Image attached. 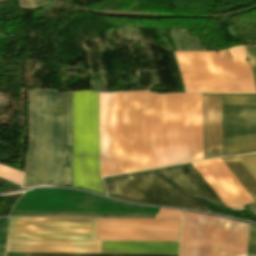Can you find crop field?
<instances>
[{"label": "crop field", "mask_w": 256, "mask_h": 256, "mask_svg": "<svg viewBox=\"0 0 256 256\" xmlns=\"http://www.w3.org/2000/svg\"><path fill=\"white\" fill-rule=\"evenodd\" d=\"M74 187L103 192L99 93H72ZM101 177L121 173L120 92L100 93Z\"/></svg>", "instance_id": "crop-field-1"}, {"label": "crop field", "mask_w": 256, "mask_h": 256, "mask_svg": "<svg viewBox=\"0 0 256 256\" xmlns=\"http://www.w3.org/2000/svg\"><path fill=\"white\" fill-rule=\"evenodd\" d=\"M29 122L23 186H73L71 93L29 91Z\"/></svg>", "instance_id": "crop-field-2"}, {"label": "crop field", "mask_w": 256, "mask_h": 256, "mask_svg": "<svg viewBox=\"0 0 256 256\" xmlns=\"http://www.w3.org/2000/svg\"><path fill=\"white\" fill-rule=\"evenodd\" d=\"M179 220L10 218L8 239L177 241ZM118 239V240H98ZM181 220L179 225L180 238ZM140 241V242H158Z\"/></svg>", "instance_id": "crop-field-3"}, {"label": "crop field", "mask_w": 256, "mask_h": 256, "mask_svg": "<svg viewBox=\"0 0 256 256\" xmlns=\"http://www.w3.org/2000/svg\"><path fill=\"white\" fill-rule=\"evenodd\" d=\"M109 195L126 200L206 210L198 196L224 206L192 163L107 177Z\"/></svg>", "instance_id": "crop-field-4"}, {"label": "crop field", "mask_w": 256, "mask_h": 256, "mask_svg": "<svg viewBox=\"0 0 256 256\" xmlns=\"http://www.w3.org/2000/svg\"><path fill=\"white\" fill-rule=\"evenodd\" d=\"M122 173L164 166L163 95L121 92Z\"/></svg>", "instance_id": "crop-field-5"}, {"label": "crop field", "mask_w": 256, "mask_h": 256, "mask_svg": "<svg viewBox=\"0 0 256 256\" xmlns=\"http://www.w3.org/2000/svg\"><path fill=\"white\" fill-rule=\"evenodd\" d=\"M165 166L202 159L201 94L164 95Z\"/></svg>", "instance_id": "crop-field-6"}, {"label": "crop field", "mask_w": 256, "mask_h": 256, "mask_svg": "<svg viewBox=\"0 0 256 256\" xmlns=\"http://www.w3.org/2000/svg\"><path fill=\"white\" fill-rule=\"evenodd\" d=\"M101 242L8 240L7 252L100 253ZM179 243L102 242L101 253L178 254ZM29 256H178L139 254H54Z\"/></svg>", "instance_id": "crop-field-7"}, {"label": "crop field", "mask_w": 256, "mask_h": 256, "mask_svg": "<svg viewBox=\"0 0 256 256\" xmlns=\"http://www.w3.org/2000/svg\"><path fill=\"white\" fill-rule=\"evenodd\" d=\"M256 151V95L222 94V156Z\"/></svg>", "instance_id": "crop-field-8"}, {"label": "crop field", "mask_w": 256, "mask_h": 256, "mask_svg": "<svg viewBox=\"0 0 256 256\" xmlns=\"http://www.w3.org/2000/svg\"><path fill=\"white\" fill-rule=\"evenodd\" d=\"M187 92H227L215 52H176Z\"/></svg>", "instance_id": "crop-field-9"}, {"label": "crop field", "mask_w": 256, "mask_h": 256, "mask_svg": "<svg viewBox=\"0 0 256 256\" xmlns=\"http://www.w3.org/2000/svg\"><path fill=\"white\" fill-rule=\"evenodd\" d=\"M222 162L216 159L193 164L226 207L244 209L242 205L253 200Z\"/></svg>", "instance_id": "crop-field-10"}, {"label": "crop field", "mask_w": 256, "mask_h": 256, "mask_svg": "<svg viewBox=\"0 0 256 256\" xmlns=\"http://www.w3.org/2000/svg\"><path fill=\"white\" fill-rule=\"evenodd\" d=\"M237 47V46H236ZM249 64L251 66L254 83L256 87V46H244ZM244 47L229 49L231 61L228 53L224 50L227 57L232 79L235 86V93H256L250 67L247 63ZM221 52V51H220ZM223 52L219 53V61L228 87V91H235L228 68L227 60Z\"/></svg>", "instance_id": "crop-field-11"}, {"label": "crop field", "mask_w": 256, "mask_h": 256, "mask_svg": "<svg viewBox=\"0 0 256 256\" xmlns=\"http://www.w3.org/2000/svg\"><path fill=\"white\" fill-rule=\"evenodd\" d=\"M213 217L186 212L180 256H209Z\"/></svg>", "instance_id": "crop-field-12"}, {"label": "crop field", "mask_w": 256, "mask_h": 256, "mask_svg": "<svg viewBox=\"0 0 256 256\" xmlns=\"http://www.w3.org/2000/svg\"><path fill=\"white\" fill-rule=\"evenodd\" d=\"M203 159L221 156V94H202Z\"/></svg>", "instance_id": "crop-field-13"}, {"label": "crop field", "mask_w": 256, "mask_h": 256, "mask_svg": "<svg viewBox=\"0 0 256 256\" xmlns=\"http://www.w3.org/2000/svg\"><path fill=\"white\" fill-rule=\"evenodd\" d=\"M221 160L256 202V182L237 157L232 156Z\"/></svg>", "instance_id": "crop-field-14"}, {"label": "crop field", "mask_w": 256, "mask_h": 256, "mask_svg": "<svg viewBox=\"0 0 256 256\" xmlns=\"http://www.w3.org/2000/svg\"><path fill=\"white\" fill-rule=\"evenodd\" d=\"M0 177L21 186L23 174L18 170L0 165Z\"/></svg>", "instance_id": "crop-field-15"}, {"label": "crop field", "mask_w": 256, "mask_h": 256, "mask_svg": "<svg viewBox=\"0 0 256 256\" xmlns=\"http://www.w3.org/2000/svg\"><path fill=\"white\" fill-rule=\"evenodd\" d=\"M237 157L256 180V153L239 155Z\"/></svg>", "instance_id": "crop-field-16"}, {"label": "crop field", "mask_w": 256, "mask_h": 256, "mask_svg": "<svg viewBox=\"0 0 256 256\" xmlns=\"http://www.w3.org/2000/svg\"><path fill=\"white\" fill-rule=\"evenodd\" d=\"M8 228V217L0 219V256H4L6 236Z\"/></svg>", "instance_id": "crop-field-17"}, {"label": "crop field", "mask_w": 256, "mask_h": 256, "mask_svg": "<svg viewBox=\"0 0 256 256\" xmlns=\"http://www.w3.org/2000/svg\"><path fill=\"white\" fill-rule=\"evenodd\" d=\"M247 256H256V227L250 224Z\"/></svg>", "instance_id": "crop-field-18"}, {"label": "crop field", "mask_w": 256, "mask_h": 256, "mask_svg": "<svg viewBox=\"0 0 256 256\" xmlns=\"http://www.w3.org/2000/svg\"><path fill=\"white\" fill-rule=\"evenodd\" d=\"M181 211L160 209L155 218L181 219Z\"/></svg>", "instance_id": "crop-field-19"}, {"label": "crop field", "mask_w": 256, "mask_h": 256, "mask_svg": "<svg viewBox=\"0 0 256 256\" xmlns=\"http://www.w3.org/2000/svg\"><path fill=\"white\" fill-rule=\"evenodd\" d=\"M22 7H38L41 4L48 3L44 0H20Z\"/></svg>", "instance_id": "crop-field-20"}]
</instances>
